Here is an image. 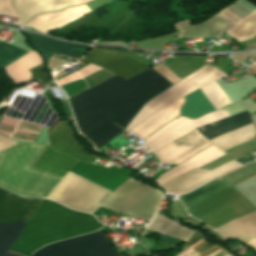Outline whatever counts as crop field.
Wrapping results in <instances>:
<instances>
[{
  "label": "crop field",
  "mask_w": 256,
  "mask_h": 256,
  "mask_svg": "<svg viewBox=\"0 0 256 256\" xmlns=\"http://www.w3.org/2000/svg\"><path fill=\"white\" fill-rule=\"evenodd\" d=\"M43 61L39 55L33 50L30 53L26 54L22 58L13 62L9 66L5 67L9 74L14 80L25 81L33 77L27 70L42 64ZM4 68V70H5ZM5 70L7 76L16 84L19 85L23 82L14 81L8 72Z\"/></svg>",
  "instance_id": "obj_20"
},
{
  "label": "crop field",
  "mask_w": 256,
  "mask_h": 256,
  "mask_svg": "<svg viewBox=\"0 0 256 256\" xmlns=\"http://www.w3.org/2000/svg\"><path fill=\"white\" fill-rule=\"evenodd\" d=\"M234 160H236V161H238V162H240V163H242V164L248 163V161L245 159L244 155H243V156H240V157H238V158H236V159H234Z\"/></svg>",
  "instance_id": "obj_28"
},
{
  "label": "crop field",
  "mask_w": 256,
  "mask_h": 256,
  "mask_svg": "<svg viewBox=\"0 0 256 256\" xmlns=\"http://www.w3.org/2000/svg\"><path fill=\"white\" fill-rule=\"evenodd\" d=\"M184 102L183 98L170 104L169 106L157 111L143 122L129 130L144 139L150 136L153 132L164 126L173 118L179 115V108Z\"/></svg>",
  "instance_id": "obj_14"
},
{
  "label": "crop field",
  "mask_w": 256,
  "mask_h": 256,
  "mask_svg": "<svg viewBox=\"0 0 256 256\" xmlns=\"http://www.w3.org/2000/svg\"><path fill=\"white\" fill-rule=\"evenodd\" d=\"M101 233L97 231L49 244L33 256H117L107 237Z\"/></svg>",
  "instance_id": "obj_6"
},
{
  "label": "crop field",
  "mask_w": 256,
  "mask_h": 256,
  "mask_svg": "<svg viewBox=\"0 0 256 256\" xmlns=\"http://www.w3.org/2000/svg\"><path fill=\"white\" fill-rule=\"evenodd\" d=\"M102 226L90 215L43 200L11 252L30 256L49 243L91 232Z\"/></svg>",
  "instance_id": "obj_3"
},
{
  "label": "crop field",
  "mask_w": 256,
  "mask_h": 256,
  "mask_svg": "<svg viewBox=\"0 0 256 256\" xmlns=\"http://www.w3.org/2000/svg\"><path fill=\"white\" fill-rule=\"evenodd\" d=\"M229 187L231 186L219 177L201 188L179 197V199L184 204L186 210H189Z\"/></svg>",
  "instance_id": "obj_19"
},
{
  "label": "crop field",
  "mask_w": 256,
  "mask_h": 256,
  "mask_svg": "<svg viewBox=\"0 0 256 256\" xmlns=\"http://www.w3.org/2000/svg\"><path fill=\"white\" fill-rule=\"evenodd\" d=\"M0 14L17 18L10 3V0H0Z\"/></svg>",
  "instance_id": "obj_25"
},
{
  "label": "crop field",
  "mask_w": 256,
  "mask_h": 256,
  "mask_svg": "<svg viewBox=\"0 0 256 256\" xmlns=\"http://www.w3.org/2000/svg\"><path fill=\"white\" fill-rule=\"evenodd\" d=\"M201 135L196 129L154 153L158 156L160 163L178 165L212 145Z\"/></svg>",
  "instance_id": "obj_7"
},
{
  "label": "crop field",
  "mask_w": 256,
  "mask_h": 256,
  "mask_svg": "<svg viewBox=\"0 0 256 256\" xmlns=\"http://www.w3.org/2000/svg\"><path fill=\"white\" fill-rule=\"evenodd\" d=\"M214 145V144H213ZM210 146L177 167L169 170L168 172L162 174L158 179L154 180L159 185L178 177L194 168H199L214 159L226 154L215 146Z\"/></svg>",
  "instance_id": "obj_15"
},
{
  "label": "crop field",
  "mask_w": 256,
  "mask_h": 256,
  "mask_svg": "<svg viewBox=\"0 0 256 256\" xmlns=\"http://www.w3.org/2000/svg\"><path fill=\"white\" fill-rule=\"evenodd\" d=\"M143 73L165 90L172 85L152 68ZM145 75L127 81L115 75L68 100L80 132L98 149L124 131L115 124L125 129L144 103L164 91Z\"/></svg>",
  "instance_id": "obj_1"
},
{
  "label": "crop field",
  "mask_w": 256,
  "mask_h": 256,
  "mask_svg": "<svg viewBox=\"0 0 256 256\" xmlns=\"http://www.w3.org/2000/svg\"><path fill=\"white\" fill-rule=\"evenodd\" d=\"M14 144H17V143L0 136V150L4 149L6 147L12 146Z\"/></svg>",
  "instance_id": "obj_26"
},
{
  "label": "crop field",
  "mask_w": 256,
  "mask_h": 256,
  "mask_svg": "<svg viewBox=\"0 0 256 256\" xmlns=\"http://www.w3.org/2000/svg\"><path fill=\"white\" fill-rule=\"evenodd\" d=\"M27 51L11 46L3 41H0V68L5 67L13 60L19 58Z\"/></svg>",
  "instance_id": "obj_23"
},
{
  "label": "crop field",
  "mask_w": 256,
  "mask_h": 256,
  "mask_svg": "<svg viewBox=\"0 0 256 256\" xmlns=\"http://www.w3.org/2000/svg\"><path fill=\"white\" fill-rule=\"evenodd\" d=\"M29 72L35 77L37 78L39 81H41L43 83V85H47L50 82V80L47 78V76L45 75L44 71H43V64L35 67L31 70H29Z\"/></svg>",
  "instance_id": "obj_24"
},
{
  "label": "crop field",
  "mask_w": 256,
  "mask_h": 256,
  "mask_svg": "<svg viewBox=\"0 0 256 256\" xmlns=\"http://www.w3.org/2000/svg\"><path fill=\"white\" fill-rule=\"evenodd\" d=\"M49 143L18 144L0 152V186L46 198L61 177L32 167Z\"/></svg>",
  "instance_id": "obj_4"
},
{
  "label": "crop field",
  "mask_w": 256,
  "mask_h": 256,
  "mask_svg": "<svg viewBox=\"0 0 256 256\" xmlns=\"http://www.w3.org/2000/svg\"><path fill=\"white\" fill-rule=\"evenodd\" d=\"M88 12H90V10L83 4L66 8L61 12L48 13L34 17L31 21L22 26H29L42 33L48 34Z\"/></svg>",
  "instance_id": "obj_10"
},
{
  "label": "crop field",
  "mask_w": 256,
  "mask_h": 256,
  "mask_svg": "<svg viewBox=\"0 0 256 256\" xmlns=\"http://www.w3.org/2000/svg\"><path fill=\"white\" fill-rule=\"evenodd\" d=\"M231 25L220 15H215L209 20L198 24L194 27L188 22V20L174 24L176 30H180L178 38L188 37V38H197V37H209L215 36L221 38L222 32Z\"/></svg>",
  "instance_id": "obj_12"
},
{
  "label": "crop field",
  "mask_w": 256,
  "mask_h": 256,
  "mask_svg": "<svg viewBox=\"0 0 256 256\" xmlns=\"http://www.w3.org/2000/svg\"><path fill=\"white\" fill-rule=\"evenodd\" d=\"M251 123L250 116L247 111L238 113L227 118L221 119L219 121L213 122L206 126L198 128L200 134H202L208 140L237 129L243 125Z\"/></svg>",
  "instance_id": "obj_17"
},
{
  "label": "crop field",
  "mask_w": 256,
  "mask_h": 256,
  "mask_svg": "<svg viewBox=\"0 0 256 256\" xmlns=\"http://www.w3.org/2000/svg\"><path fill=\"white\" fill-rule=\"evenodd\" d=\"M90 0H74V4L86 3ZM73 0H12L21 24L28 22L39 13L60 11L66 7L73 6Z\"/></svg>",
  "instance_id": "obj_9"
},
{
  "label": "crop field",
  "mask_w": 256,
  "mask_h": 256,
  "mask_svg": "<svg viewBox=\"0 0 256 256\" xmlns=\"http://www.w3.org/2000/svg\"><path fill=\"white\" fill-rule=\"evenodd\" d=\"M72 134L73 132L66 122H59V124L48 134L51 147L79 160L92 163L96 157L88 155L84 151L82 145L73 140Z\"/></svg>",
  "instance_id": "obj_11"
},
{
  "label": "crop field",
  "mask_w": 256,
  "mask_h": 256,
  "mask_svg": "<svg viewBox=\"0 0 256 256\" xmlns=\"http://www.w3.org/2000/svg\"><path fill=\"white\" fill-rule=\"evenodd\" d=\"M30 38V43L42 52L46 62H48L51 52L81 58L89 46L61 43L41 35L26 33Z\"/></svg>",
  "instance_id": "obj_13"
},
{
  "label": "crop field",
  "mask_w": 256,
  "mask_h": 256,
  "mask_svg": "<svg viewBox=\"0 0 256 256\" xmlns=\"http://www.w3.org/2000/svg\"><path fill=\"white\" fill-rule=\"evenodd\" d=\"M247 246L251 247L253 250L256 251V238L253 237L248 242L245 243Z\"/></svg>",
  "instance_id": "obj_27"
},
{
  "label": "crop field",
  "mask_w": 256,
  "mask_h": 256,
  "mask_svg": "<svg viewBox=\"0 0 256 256\" xmlns=\"http://www.w3.org/2000/svg\"><path fill=\"white\" fill-rule=\"evenodd\" d=\"M158 217V214H156V216L154 217V219L152 220V222L147 225V229L150 225H152L154 223V221L156 220V218ZM150 229H153V230H157V231H160V232H163V233H167V234H170V235H173V236H176V237H180V238H183L185 239L186 236L189 234L190 230L162 217L159 215V217L157 218V220L155 221V223L149 227ZM192 231L191 233L187 236V238L185 239V241L188 240V238L192 235ZM169 235V236H170ZM172 236V237H173ZM175 237V238H176ZM179 238V239H180ZM182 239V240H183Z\"/></svg>",
  "instance_id": "obj_22"
},
{
  "label": "crop field",
  "mask_w": 256,
  "mask_h": 256,
  "mask_svg": "<svg viewBox=\"0 0 256 256\" xmlns=\"http://www.w3.org/2000/svg\"><path fill=\"white\" fill-rule=\"evenodd\" d=\"M187 103L182 108V116L198 118L203 114L213 111L214 108L199 90L185 96Z\"/></svg>",
  "instance_id": "obj_21"
},
{
  "label": "crop field",
  "mask_w": 256,
  "mask_h": 256,
  "mask_svg": "<svg viewBox=\"0 0 256 256\" xmlns=\"http://www.w3.org/2000/svg\"><path fill=\"white\" fill-rule=\"evenodd\" d=\"M217 13L234 25L225 31L231 37L245 41L256 36V10L242 19L226 7Z\"/></svg>",
  "instance_id": "obj_16"
},
{
  "label": "crop field",
  "mask_w": 256,
  "mask_h": 256,
  "mask_svg": "<svg viewBox=\"0 0 256 256\" xmlns=\"http://www.w3.org/2000/svg\"><path fill=\"white\" fill-rule=\"evenodd\" d=\"M82 60L107 69L125 80L150 68L115 51L96 50L93 48Z\"/></svg>",
  "instance_id": "obj_8"
},
{
  "label": "crop field",
  "mask_w": 256,
  "mask_h": 256,
  "mask_svg": "<svg viewBox=\"0 0 256 256\" xmlns=\"http://www.w3.org/2000/svg\"><path fill=\"white\" fill-rule=\"evenodd\" d=\"M41 200L20 198L0 189V224L30 220ZM26 222L0 225V256H20L8 252Z\"/></svg>",
  "instance_id": "obj_5"
},
{
  "label": "crop field",
  "mask_w": 256,
  "mask_h": 256,
  "mask_svg": "<svg viewBox=\"0 0 256 256\" xmlns=\"http://www.w3.org/2000/svg\"><path fill=\"white\" fill-rule=\"evenodd\" d=\"M110 194L111 192L68 172L47 199L93 214ZM161 197L162 194L156 189L130 178L101 206L149 222Z\"/></svg>",
  "instance_id": "obj_2"
},
{
  "label": "crop field",
  "mask_w": 256,
  "mask_h": 256,
  "mask_svg": "<svg viewBox=\"0 0 256 256\" xmlns=\"http://www.w3.org/2000/svg\"><path fill=\"white\" fill-rule=\"evenodd\" d=\"M76 163L77 161L69 156L57 153L47 147L34 167L63 177Z\"/></svg>",
  "instance_id": "obj_18"
}]
</instances>
